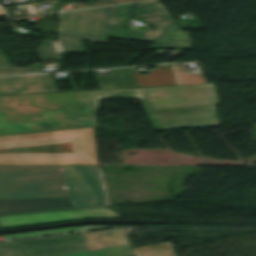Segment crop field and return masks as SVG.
Masks as SVG:
<instances>
[{
	"label": "crop field",
	"mask_w": 256,
	"mask_h": 256,
	"mask_svg": "<svg viewBox=\"0 0 256 256\" xmlns=\"http://www.w3.org/2000/svg\"><path fill=\"white\" fill-rule=\"evenodd\" d=\"M136 98L133 89L0 97V135L97 125L98 99Z\"/></svg>",
	"instance_id": "crop-field-1"
},
{
	"label": "crop field",
	"mask_w": 256,
	"mask_h": 256,
	"mask_svg": "<svg viewBox=\"0 0 256 256\" xmlns=\"http://www.w3.org/2000/svg\"><path fill=\"white\" fill-rule=\"evenodd\" d=\"M27 197H72L77 207L108 203L100 167H0V198Z\"/></svg>",
	"instance_id": "crop-field-2"
},
{
	"label": "crop field",
	"mask_w": 256,
	"mask_h": 256,
	"mask_svg": "<svg viewBox=\"0 0 256 256\" xmlns=\"http://www.w3.org/2000/svg\"><path fill=\"white\" fill-rule=\"evenodd\" d=\"M0 165H98L94 128L1 136Z\"/></svg>",
	"instance_id": "crop-field-3"
},
{
	"label": "crop field",
	"mask_w": 256,
	"mask_h": 256,
	"mask_svg": "<svg viewBox=\"0 0 256 256\" xmlns=\"http://www.w3.org/2000/svg\"><path fill=\"white\" fill-rule=\"evenodd\" d=\"M167 128L218 126L214 85L147 88Z\"/></svg>",
	"instance_id": "crop-field-4"
},
{
	"label": "crop field",
	"mask_w": 256,
	"mask_h": 256,
	"mask_svg": "<svg viewBox=\"0 0 256 256\" xmlns=\"http://www.w3.org/2000/svg\"><path fill=\"white\" fill-rule=\"evenodd\" d=\"M113 7L60 13L58 42L63 53H87L83 41L63 37L107 43L114 14ZM43 61L60 60L56 42L44 40L38 47Z\"/></svg>",
	"instance_id": "crop-field-5"
},
{
	"label": "crop field",
	"mask_w": 256,
	"mask_h": 256,
	"mask_svg": "<svg viewBox=\"0 0 256 256\" xmlns=\"http://www.w3.org/2000/svg\"><path fill=\"white\" fill-rule=\"evenodd\" d=\"M133 4L116 6L110 37L151 42L157 38L167 26L172 23L170 16L159 1L138 3L136 19H143L154 27V31L120 29L122 18H131ZM154 48L191 49L188 32H181L176 23L166 29L164 34L155 40Z\"/></svg>",
	"instance_id": "crop-field-6"
},
{
	"label": "crop field",
	"mask_w": 256,
	"mask_h": 256,
	"mask_svg": "<svg viewBox=\"0 0 256 256\" xmlns=\"http://www.w3.org/2000/svg\"><path fill=\"white\" fill-rule=\"evenodd\" d=\"M129 244L123 229L0 243V256H51Z\"/></svg>",
	"instance_id": "crop-field-7"
},
{
	"label": "crop field",
	"mask_w": 256,
	"mask_h": 256,
	"mask_svg": "<svg viewBox=\"0 0 256 256\" xmlns=\"http://www.w3.org/2000/svg\"><path fill=\"white\" fill-rule=\"evenodd\" d=\"M89 218H120L106 208L72 209L0 217L4 229L82 220Z\"/></svg>",
	"instance_id": "crop-field-8"
},
{
	"label": "crop field",
	"mask_w": 256,
	"mask_h": 256,
	"mask_svg": "<svg viewBox=\"0 0 256 256\" xmlns=\"http://www.w3.org/2000/svg\"><path fill=\"white\" fill-rule=\"evenodd\" d=\"M77 208L72 198L0 199V216Z\"/></svg>",
	"instance_id": "crop-field-9"
},
{
	"label": "crop field",
	"mask_w": 256,
	"mask_h": 256,
	"mask_svg": "<svg viewBox=\"0 0 256 256\" xmlns=\"http://www.w3.org/2000/svg\"><path fill=\"white\" fill-rule=\"evenodd\" d=\"M50 74L0 78V95L57 92Z\"/></svg>",
	"instance_id": "crop-field-10"
},
{
	"label": "crop field",
	"mask_w": 256,
	"mask_h": 256,
	"mask_svg": "<svg viewBox=\"0 0 256 256\" xmlns=\"http://www.w3.org/2000/svg\"><path fill=\"white\" fill-rule=\"evenodd\" d=\"M156 67L150 74H141L138 68H132L139 87L178 85L173 65Z\"/></svg>",
	"instance_id": "crop-field-11"
},
{
	"label": "crop field",
	"mask_w": 256,
	"mask_h": 256,
	"mask_svg": "<svg viewBox=\"0 0 256 256\" xmlns=\"http://www.w3.org/2000/svg\"><path fill=\"white\" fill-rule=\"evenodd\" d=\"M135 95L140 99L156 130H166L146 88L134 89Z\"/></svg>",
	"instance_id": "crop-field-12"
},
{
	"label": "crop field",
	"mask_w": 256,
	"mask_h": 256,
	"mask_svg": "<svg viewBox=\"0 0 256 256\" xmlns=\"http://www.w3.org/2000/svg\"><path fill=\"white\" fill-rule=\"evenodd\" d=\"M58 256H133L130 246H119L105 249H97L83 252H76Z\"/></svg>",
	"instance_id": "crop-field-13"
},
{
	"label": "crop field",
	"mask_w": 256,
	"mask_h": 256,
	"mask_svg": "<svg viewBox=\"0 0 256 256\" xmlns=\"http://www.w3.org/2000/svg\"><path fill=\"white\" fill-rule=\"evenodd\" d=\"M134 250L136 256H176L175 251L171 246L170 242L136 248Z\"/></svg>",
	"instance_id": "crop-field-14"
},
{
	"label": "crop field",
	"mask_w": 256,
	"mask_h": 256,
	"mask_svg": "<svg viewBox=\"0 0 256 256\" xmlns=\"http://www.w3.org/2000/svg\"><path fill=\"white\" fill-rule=\"evenodd\" d=\"M41 72V62L28 68L11 67L6 59L0 54V75L23 74Z\"/></svg>",
	"instance_id": "crop-field-15"
},
{
	"label": "crop field",
	"mask_w": 256,
	"mask_h": 256,
	"mask_svg": "<svg viewBox=\"0 0 256 256\" xmlns=\"http://www.w3.org/2000/svg\"><path fill=\"white\" fill-rule=\"evenodd\" d=\"M94 228H107V227H75V228L46 230V231H37V232H28V233L9 234V235H4V237L6 239H11V238L49 235V234H59V233H65V231L72 232V231L88 230V229H94Z\"/></svg>",
	"instance_id": "crop-field-16"
},
{
	"label": "crop field",
	"mask_w": 256,
	"mask_h": 256,
	"mask_svg": "<svg viewBox=\"0 0 256 256\" xmlns=\"http://www.w3.org/2000/svg\"><path fill=\"white\" fill-rule=\"evenodd\" d=\"M134 1H142V0H96V5H111V4H120Z\"/></svg>",
	"instance_id": "crop-field-17"
},
{
	"label": "crop field",
	"mask_w": 256,
	"mask_h": 256,
	"mask_svg": "<svg viewBox=\"0 0 256 256\" xmlns=\"http://www.w3.org/2000/svg\"><path fill=\"white\" fill-rule=\"evenodd\" d=\"M1 16H6L5 13L2 11V9L0 8V17Z\"/></svg>",
	"instance_id": "crop-field-18"
}]
</instances>
